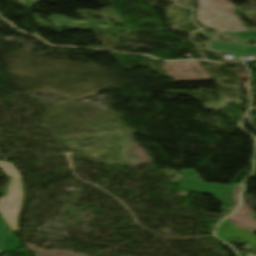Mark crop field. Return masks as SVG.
Masks as SVG:
<instances>
[{
  "label": "crop field",
  "mask_w": 256,
  "mask_h": 256,
  "mask_svg": "<svg viewBox=\"0 0 256 256\" xmlns=\"http://www.w3.org/2000/svg\"><path fill=\"white\" fill-rule=\"evenodd\" d=\"M235 10L236 7L230 0H198L197 20L218 30L225 39H235L232 43H226L213 39L215 34H210L209 45L205 49L217 53L256 55V46H245L250 41L256 42V30L250 31L242 27L241 19L233 15Z\"/></svg>",
  "instance_id": "obj_1"
},
{
  "label": "crop field",
  "mask_w": 256,
  "mask_h": 256,
  "mask_svg": "<svg viewBox=\"0 0 256 256\" xmlns=\"http://www.w3.org/2000/svg\"><path fill=\"white\" fill-rule=\"evenodd\" d=\"M0 168L11 178L4 197L0 199V215L12 232L18 229V217L24 198V189L19 170L12 163L0 161Z\"/></svg>",
  "instance_id": "obj_2"
}]
</instances>
